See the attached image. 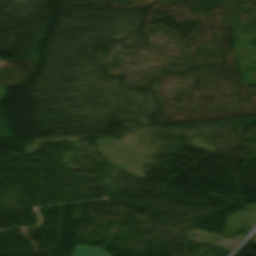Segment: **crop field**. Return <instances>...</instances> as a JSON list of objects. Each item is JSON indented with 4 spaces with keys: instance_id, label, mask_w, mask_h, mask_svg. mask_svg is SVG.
Listing matches in <instances>:
<instances>
[{
    "instance_id": "obj_1",
    "label": "crop field",
    "mask_w": 256,
    "mask_h": 256,
    "mask_svg": "<svg viewBox=\"0 0 256 256\" xmlns=\"http://www.w3.org/2000/svg\"><path fill=\"white\" fill-rule=\"evenodd\" d=\"M71 256H109L102 249L97 247H85L76 245Z\"/></svg>"
}]
</instances>
